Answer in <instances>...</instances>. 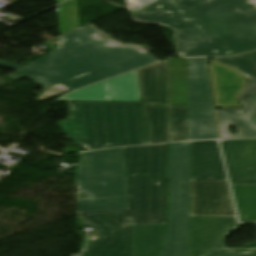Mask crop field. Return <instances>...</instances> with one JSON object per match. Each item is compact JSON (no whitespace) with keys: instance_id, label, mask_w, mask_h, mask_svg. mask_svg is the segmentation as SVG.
Instances as JSON below:
<instances>
[{"instance_id":"obj_6","label":"crop field","mask_w":256,"mask_h":256,"mask_svg":"<svg viewBox=\"0 0 256 256\" xmlns=\"http://www.w3.org/2000/svg\"><path fill=\"white\" fill-rule=\"evenodd\" d=\"M190 190L189 142L170 144L169 216L162 256H188Z\"/></svg>"},{"instance_id":"obj_28","label":"crop field","mask_w":256,"mask_h":256,"mask_svg":"<svg viewBox=\"0 0 256 256\" xmlns=\"http://www.w3.org/2000/svg\"><path fill=\"white\" fill-rule=\"evenodd\" d=\"M249 2L256 6V0H250Z\"/></svg>"},{"instance_id":"obj_16","label":"crop field","mask_w":256,"mask_h":256,"mask_svg":"<svg viewBox=\"0 0 256 256\" xmlns=\"http://www.w3.org/2000/svg\"><path fill=\"white\" fill-rule=\"evenodd\" d=\"M216 108L240 107L237 99L246 78L222 66L215 60L210 61Z\"/></svg>"},{"instance_id":"obj_11","label":"crop field","mask_w":256,"mask_h":256,"mask_svg":"<svg viewBox=\"0 0 256 256\" xmlns=\"http://www.w3.org/2000/svg\"><path fill=\"white\" fill-rule=\"evenodd\" d=\"M220 143L231 184L256 183V140Z\"/></svg>"},{"instance_id":"obj_3","label":"crop field","mask_w":256,"mask_h":256,"mask_svg":"<svg viewBox=\"0 0 256 256\" xmlns=\"http://www.w3.org/2000/svg\"><path fill=\"white\" fill-rule=\"evenodd\" d=\"M97 32L93 26L76 29L60 36L56 50L33 63L22 67L0 61V67L17 71L8 75L13 79L28 77L43 88L61 82L74 90L158 61L130 48H107L89 37Z\"/></svg>"},{"instance_id":"obj_27","label":"crop field","mask_w":256,"mask_h":256,"mask_svg":"<svg viewBox=\"0 0 256 256\" xmlns=\"http://www.w3.org/2000/svg\"><path fill=\"white\" fill-rule=\"evenodd\" d=\"M248 251L247 253H251L252 251L256 249H227L228 252H233V253H239V254H246V253H241V251Z\"/></svg>"},{"instance_id":"obj_29","label":"crop field","mask_w":256,"mask_h":256,"mask_svg":"<svg viewBox=\"0 0 256 256\" xmlns=\"http://www.w3.org/2000/svg\"><path fill=\"white\" fill-rule=\"evenodd\" d=\"M251 98L256 102V95L251 96Z\"/></svg>"},{"instance_id":"obj_20","label":"crop field","mask_w":256,"mask_h":256,"mask_svg":"<svg viewBox=\"0 0 256 256\" xmlns=\"http://www.w3.org/2000/svg\"><path fill=\"white\" fill-rule=\"evenodd\" d=\"M222 65L244 75L249 80L256 78V52L233 57L216 59Z\"/></svg>"},{"instance_id":"obj_10","label":"crop field","mask_w":256,"mask_h":256,"mask_svg":"<svg viewBox=\"0 0 256 256\" xmlns=\"http://www.w3.org/2000/svg\"><path fill=\"white\" fill-rule=\"evenodd\" d=\"M190 216H235L227 180L192 181Z\"/></svg>"},{"instance_id":"obj_12","label":"crop field","mask_w":256,"mask_h":256,"mask_svg":"<svg viewBox=\"0 0 256 256\" xmlns=\"http://www.w3.org/2000/svg\"><path fill=\"white\" fill-rule=\"evenodd\" d=\"M61 100L140 101L136 71L69 93Z\"/></svg>"},{"instance_id":"obj_1","label":"crop field","mask_w":256,"mask_h":256,"mask_svg":"<svg viewBox=\"0 0 256 256\" xmlns=\"http://www.w3.org/2000/svg\"><path fill=\"white\" fill-rule=\"evenodd\" d=\"M155 0L130 10L139 23H159L175 32L187 57L230 56L256 50V7L248 0Z\"/></svg>"},{"instance_id":"obj_22","label":"crop field","mask_w":256,"mask_h":256,"mask_svg":"<svg viewBox=\"0 0 256 256\" xmlns=\"http://www.w3.org/2000/svg\"><path fill=\"white\" fill-rule=\"evenodd\" d=\"M70 91L68 88H66L64 85H62L61 83L51 86L49 88L43 89L42 92L43 94L40 95L39 99H37L38 101L64 93Z\"/></svg>"},{"instance_id":"obj_21","label":"crop field","mask_w":256,"mask_h":256,"mask_svg":"<svg viewBox=\"0 0 256 256\" xmlns=\"http://www.w3.org/2000/svg\"><path fill=\"white\" fill-rule=\"evenodd\" d=\"M57 15L61 35L79 27L77 0H69L57 6Z\"/></svg>"},{"instance_id":"obj_14","label":"crop field","mask_w":256,"mask_h":256,"mask_svg":"<svg viewBox=\"0 0 256 256\" xmlns=\"http://www.w3.org/2000/svg\"><path fill=\"white\" fill-rule=\"evenodd\" d=\"M239 102L243 109H217L222 139L256 138V103L250 97ZM230 125L236 134L230 133Z\"/></svg>"},{"instance_id":"obj_8","label":"crop field","mask_w":256,"mask_h":256,"mask_svg":"<svg viewBox=\"0 0 256 256\" xmlns=\"http://www.w3.org/2000/svg\"><path fill=\"white\" fill-rule=\"evenodd\" d=\"M238 227L236 217H190L189 256H256L226 252L224 239Z\"/></svg>"},{"instance_id":"obj_17","label":"crop field","mask_w":256,"mask_h":256,"mask_svg":"<svg viewBox=\"0 0 256 256\" xmlns=\"http://www.w3.org/2000/svg\"><path fill=\"white\" fill-rule=\"evenodd\" d=\"M164 225H131L134 256H159Z\"/></svg>"},{"instance_id":"obj_19","label":"crop field","mask_w":256,"mask_h":256,"mask_svg":"<svg viewBox=\"0 0 256 256\" xmlns=\"http://www.w3.org/2000/svg\"><path fill=\"white\" fill-rule=\"evenodd\" d=\"M231 186L241 222H256V184Z\"/></svg>"},{"instance_id":"obj_2","label":"crop field","mask_w":256,"mask_h":256,"mask_svg":"<svg viewBox=\"0 0 256 256\" xmlns=\"http://www.w3.org/2000/svg\"><path fill=\"white\" fill-rule=\"evenodd\" d=\"M167 144L124 148L129 210L80 214L97 229L82 256H132L130 224L165 222Z\"/></svg>"},{"instance_id":"obj_15","label":"crop field","mask_w":256,"mask_h":256,"mask_svg":"<svg viewBox=\"0 0 256 256\" xmlns=\"http://www.w3.org/2000/svg\"><path fill=\"white\" fill-rule=\"evenodd\" d=\"M140 103L169 104L167 60L137 71Z\"/></svg>"},{"instance_id":"obj_24","label":"crop field","mask_w":256,"mask_h":256,"mask_svg":"<svg viewBox=\"0 0 256 256\" xmlns=\"http://www.w3.org/2000/svg\"><path fill=\"white\" fill-rule=\"evenodd\" d=\"M254 94H256V79L248 81L238 100Z\"/></svg>"},{"instance_id":"obj_4","label":"crop field","mask_w":256,"mask_h":256,"mask_svg":"<svg viewBox=\"0 0 256 256\" xmlns=\"http://www.w3.org/2000/svg\"><path fill=\"white\" fill-rule=\"evenodd\" d=\"M140 103L68 101V120L56 122L88 150L145 144Z\"/></svg>"},{"instance_id":"obj_13","label":"crop field","mask_w":256,"mask_h":256,"mask_svg":"<svg viewBox=\"0 0 256 256\" xmlns=\"http://www.w3.org/2000/svg\"><path fill=\"white\" fill-rule=\"evenodd\" d=\"M192 180L227 179L217 141L190 142Z\"/></svg>"},{"instance_id":"obj_26","label":"crop field","mask_w":256,"mask_h":256,"mask_svg":"<svg viewBox=\"0 0 256 256\" xmlns=\"http://www.w3.org/2000/svg\"><path fill=\"white\" fill-rule=\"evenodd\" d=\"M86 199H94L92 195L88 194L87 191H81L78 186V201L86 200Z\"/></svg>"},{"instance_id":"obj_5","label":"crop field","mask_w":256,"mask_h":256,"mask_svg":"<svg viewBox=\"0 0 256 256\" xmlns=\"http://www.w3.org/2000/svg\"><path fill=\"white\" fill-rule=\"evenodd\" d=\"M77 180L95 198L79 201L77 213L128 209L123 148L82 154Z\"/></svg>"},{"instance_id":"obj_7","label":"crop field","mask_w":256,"mask_h":256,"mask_svg":"<svg viewBox=\"0 0 256 256\" xmlns=\"http://www.w3.org/2000/svg\"><path fill=\"white\" fill-rule=\"evenodd\" d=\"M190 140L218 139L206 58L187 59Z\"/></svg>"},{"instance_id":"obj_18","label":"crop field","mask_w":256,"mask_h":256,"mask_svg":"<svg viewBox=\"0 0 256 256\" xmlns=\"http://www.w3.org/2000/svg\"><path fill=\"white\" fill-rule=\"evenodd\" d=\"M148 143L169 141V106H146L142 105Z\"/></svg>"},{"instance_id":"obj_30","label":"crop field","mask_w":256,"mask_h":256,"mask_svg":"<svg viewBox=\"0 0 256 256\" xmlns=\"http://www.w3.org/2000/svg\"><path fill=\"white\" fill-rule=\"evenodd\" d=\"M169 1H170L171 4H173L171 0H169ZM173 5H174V4H173ZM174 6H175V5H174ZM175 7H176V6H175ZM176 8H177V7H176ZM177 9H178V8H177ZM178 10H179V9H178ZM179 12H180V10H179ZM180 13H181V12H180Z\"/></svg>"},{"instance_id":"obj_23","label":"crop field","mask_w":256,"mask_h":256,"mask_svg":"<svg viewBox=\"0 0 256 256\" xmlns=\"http://www.w3.org/2000/svg\"><path fill=\"white\" fill-rule=\"evenodd\" d=\"M90 37H92L93 39H98L99 41H101L103 44H105L108 47H131L133 49L145 51L143 48H140V47H136V46H132V45H126V44H120V43L114 42V41L110 40L109 38H107L105 35H103L100 32L95 34V35H92Z\"/></svg>"},{"instance_id":"obj_9","label":"crop field","mask_w":256,"mask_h":256,"mask_svg":"<svg viewBox=\"0 0 256 256\" xmlns=\"http://www.w3.org/2000/svg\"><path fill=\"white\" fill-rule=\"evenodd\" d=\"M171 142L189 140L188 82L186 59H169Z\"/></svg>"},{"instance_id":"obj_31","label":"crop field","mask_w":256,"mask_h":256,"mask_svg":"<svg viewBox=\"0 0 256 256\" xmlns=\"http://www.w3.org/2000/svg\"><path fill=\"white\" fill-rule=\"evenodd\" d=\"M72 256H79V255H72Z\"/></svg>"},{"instance_id":"obj_25","label":"crop field","mask_w":256,"mask_h":256,"mask_svg":"<svg viewBox=\"0 0 256 256\" xmlns=\"http://www.w3.org/2000/svg\"><path fill=\"white\" fill-rule=\"evenodd\" d=\"M129 10L152 0H127Z\"/></svg>"}]
</instances>
